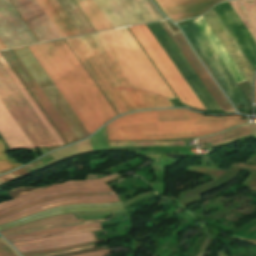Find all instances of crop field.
<instances>
[{"instance_id": "0fb4a251", "label": "crop field", "mask_w": 256, "mask_h": 256, "mask_svg": "<svg viewBox=\"0 0 256 256\" xmlns=\"http://www.w3.org/2000/svg\"><path fill=\"white\" fill-rule=\"evenodd\" d=\"M220 256H221V253H220Z\"/></svg>"}, {"instance_id": "a9b5d70f", "label": "crop field", "mask_w": 256, "mask_h": 256, "mask_svg": "<svg viewBox=\"0 0 256 256\" xmlns=\"http://www.w3.org/2000/svg\"><path fill=\"white\" fill-rule=\"evenodd\" d=\"M75 2L83 11L96 31L112 28L93 0H75Z\"/></svg>"}, {"instance_id": "dd49c442", "label": "crop field", "mask_w": 256, "mask_h": 256, "mask_svg": "<svg viewBox=\"0 0 256 256\" xmlns=\"http://www.w3.org/2000/svg\"><path fill=\"white\" fill-rule=\"evenodd\" d=\"M189 37L199 54L202 56L212 73L215 75L225 92L235 105L242 104L244 109L250 110L251 104L245 97L239 86L231 77L223 63L220 61L212 47L209 45L196 24L191 22L181 26Z\"/></svg>"}, {"instance_id": "dafd665d", "label": "crop field", "mask_w": 256, "mask_h": 256, "mask_svg": "<svg viewBox=\"0 0 256 256\" xmlns=\"http://www.w3.org/2000/svg\"><path fill=\"white\" fill-rule=\"evenodd\" d=\"M229 4L256 42V0H233Z\"/></svg>"}, {"instance_id": "1d83c4d3", "label": "crop field", "mask_w": 256, "mask_h": 256, "mask_svg": "<svg viewBox=\"0 0 256 256\" xmlns=\"http://www.w3.org/2000/svg\"><path fill=\"white\" fill-rule=\"evenodd\" d=\"M117 204H119V202L111 203V204H77V205H66V206H61V207H57V208H54V209H50V210H47V211H44V212H41V213H38V214H35V215H32V216L21 218V219H18L16 221H13V222L0 225V227L6 226V225H9V224H13V223H16V222H19V221H22V220H25V219H29V218H32V217H36V216H39V215H43V214H46V213L67 209V208H74V207H102V206H113V205H117Z\"/></svg>"}, {"instance_id": "ae1a2a85", "label": "crop field", "mask_w": 256, "mask_h": 256, "mask_svg": "<svg viewBox=\"0 0 256 256\" xmlns=\"http://www.w3.org/2000/svg\"><path fill=\"white\" fill-rule=\"evenodd\" d=\"M250 134L251 133H250L249 125L247 124L244 126L231 128L229 130H226L224 132H221L213 136H208V137L198 139L197 142L210 140L211 144L214 145L218 143L235 140L237 138L250 135Z\"/></svg>"}, {"instance_id": "750c4746", "label": "crop field", "mask_w": 256, "mask_h": 256, "mask_svg": "<svg viewBox=\"0 0 256 256\" xmlns=\"http://www.w3.org/2000/svg\"><path fill=\"white\" fill-rule=\"evenodd\" d=\"M122 207H123L122 204H120V205L113 206V207L68 209V210H64V211H59V212H54V213L46 214V215H43V216H39V217L29 219V220H26V221H23V222H20V223H16V224L4 227V228H0V230L6 229V228H9V227H12V226H16V225H19V224H23V223H26V222H30V221H33V220L59 215V214H62V213L77 212V211H102V210L118 209V208H122Z\"/></svg>"}, {"instance_id": "00972430", "label": "crop field", "mask_w": 256, "mask_h": 256, "mask_svg": "<svg viewBox=\"0 0 256 256\" xmlns=\"http://www.w3.org/2000/svg\"><path fill=\"white\" fill-rule=\"evenodd\" d=\"M0 63L2 64V66L4 67V69L6 70V72L9 74V76L11 77V79L14 81V83L16 84V86L19 88V90L21 91V93L24 95V97L26 98V100L28 101V103L31 105V107L33 108V110L36 112V114L38 115V117L41 119V121L43 122V124L46 126V128L48 129V131L50 132V134L53 136V138L55 139V141L58 143V145H65V143L62 141V139L60 138V136L57 134V132L55 131V129L52 127V125L50 124V122L47 120V118L45 117V115L42 113V111L40 110V108L37 106V104L35 103V101L33 100V98L30 96V94L28 93V91L25 89V87L23 86V84L20 82V80L18 79V77L15 75V73L13 72V70L10 68V66L8 65V63L5 61V59L3 58V56L0 54Z\"/></svg>"}, {"instance_id": "0bd39190", "label": "crop field", "mask_w": 256, "mask_h": 256, "mask_svg": "<svg viewBox=\"0 0 256 256\" xmlns=\"http://www.w3.org/2000/svg\"><path fill=\"white\" fill-rule=\"evenodd\" d=\"M96 230H101V227H97V228H89V229H81V230H73V231H65V232H57V233H51V234H45V235H39V236H33V237H28V238H22V239L10 240V242H13V241H21V240L37 239V238L50 237V236H58V235L74 234V233H81V232H88V231H96Z\"/></svg>"}, {"instance_id": "214f88e0", "label": "crop field", "mask_w": 256, "mask_h": 256, "mask_svg": "<svg viewBox=\"0 0 256 256\" xmlns=\"http://www.w3.org/2000/svg\"><path fill=\"white\" fill-rule=\"evenodd\" d=\"M116 176H111V177H105L102 179H97V180H89V181H70L67 183H62V184H58L54 187H50V188H46V189H42L39 190L37 192L34 193H30L24 196H20L17 197L13 200L7 201V202H3L0 203V210L10 207L12 205H15L17 203H20L22 201H25L27 199H30L32 197H35L37 195H41V194H45L51 191H57V190H64V189H70V188H80V189H106L109 188L107 187L103 181L105 180H109L112 179Z\"/></svg>"}, {"instance_id": "ac0d7876", "label": "crop field", "mask_w": 256, "mask_h": 256, "mask_svg": "<svg viewBox=\"0 0 256 256\" xmlns=\"http://www.w3.org/2000/svg\"><path fill=\"white\" fill-rule=\"evenodd\" d=\"M28 48L90 134L116 116L64 40Z\"/></svg>"}, {"instance_id": "c21b1889", "label": "crop field", "mask_w": 256, "mask_h": 256, "mask_svg": "<svg viewBox=\"0 0 256 256\" xmlns=\"http://www.w3.org/2000/svg\"><path fill=\"white\" fill-rule=\"evenodd\" d=\"M37 3L39 4V6L42 8V10L44 11V13L47 15V17L49 18V20L52 22V24L54 25V27L57 29V31L59 32V34L62 36V38H65L66 35L63 33V31L61 30V28L58 26V24L56 23V21L53 19V17L51 16V14L48 12V10L46 9V7L43 5V3L41 2V0H36Z\"/></svg>"}, {"instance_id": "d23c7cc5", "label": "crop field", "mask_w": 256, "mask_h": 256, "mask_svg": "<svg viewBox=\"0 0 256 256\" xmlns=\"http://www.w3.org/2000/svg\"><path fill=\"white\" fill-rule=\"evenodd\" d=\"M108 252H111L110 249L99 251V252H94V253L77 255V256H94V255L104 254V253H108Z\"/></svg>"}, {"instance_id": "bc2a9ffb", "label": "crop field", "mask_w": 256, "mask_h": 256, "mask_svg": "<svg viewBox=\"0 0 256 256\" xmlns=\"http://www.w3.org/2000/svg\"><path fill=\"white\" fill-rule=\"evenodd\" d=\"M91 235H92L93 239L96 240L92 232H91ZM91 235H90V233H88V234L58 236V237H50V238L24 241V242H19V243H15V244L22 252H24V251H31V250H40V249H45V248L61 247V246L75 244V243L91 241V240H93ZM12 244L20 253H22L15 246L14 243H12Z\"/></svg>"}, {"instance_id": "1f2cbd36", "label": "crop field", "mask_w": 256, "mask_h": 256, "mask_svg": "<svg viewBox=\"0 0 256 256\" xmlns=\"http://www.w3.org/2000/svg\"><path fill=\"white\" fill-rule=\"evenodd\" d=\"M255 102H256V92H255Z\"/></svg>"}, {"instance_id": "92a150f3", "label": "crop field", "mask_w": 256, "mask_h": 256, "mask_svg": "<svg viewBox=\"0 0 256 256\" xmlns=\"http://www.w3.org/2000/svg\"><path fill=\"white\" fill-rule=\"evenodd\" d=\"M197 26L200 28L206 39L209 41L217 55L220 57L226 68L229 70L235 81L239 84L245 81V78L240 73L234 62L231 60L225 49L222 47L216 36L213 34L207 23L202 16L194 20Z\"/></svg>"}, {"instance_id": "8a807250", "label": "crop field", "mask_w": 256, "mask_h": 256, "mask_svg": "<svg viewBox=\"0 0 256 256\" xmlns=\"http://www.w3.org/2000/svg\"><path fill=\"white\" fill-rule=\"evenodd\" d=\"M80 39L131 111L173 107L175 96L126 28Z\"/></svg>"}, {"instance_id": "eef30255", "label": "crop field", "mask_w": 256, "mask_h": 256, "mask_svg": "<svg viewBox=\"0 0 256 256\" xmlns=\"http://www.w3.org/2000/svg\"><path fill=\"white\" fill-rule=\"evenodd\" d=\"M81 220H83V219L77 220L73 214L61 215V216L46 218V219H42L39 221L31 222L28 224L9 228L0 233L2 235H4V234L16 232V231L26 230V229L33 228V227L46 226V225L59 224V223H67V222H75V221H81Z\"/></svg>"}, {"instance_id": "28ad6ade", "label": "crop field", "mask_w": 256, "mask_h": 256, "mask_svg": "<svg viewBox=\"0 0 256 256\" xmlns=\"http://www.w3.org/2000/svg\"><path fill=\"white\" fill-rule=\"evenodd\" d=\"M66 42L77 55L79 60L82 62L92 78L95 80L97 85L100 87V89L105 94L110 103L113 105L118 114L129 112L130 109L127 107L123 99L115 90L111 82L108 80L106 75L98 66V64L91 56L89 51L86 49L84 44L81 42L79 37L67 39Z\"/></svg>"}, {"instance_id": "dbb93151", "label": "crop field", "mask_w": 256, "mask_h": 256, "mask_svg": "<svg viewBox=\"0 0 256 256\" xmlns=\"http://www.w3.org/2000/svg\"><path fill=\"white\" fill-rule=\"evenodd\" d=\"M0 184H2V182L0 181Z\"/></svg>"}, {"instance_id": "c035e120", "label": "crop field", "mask_w": 256, "mask_h": 256, "mask_svg": "<svg viewBox=\"0 0 256 256\" xmlns=\"http://www.w3.org/2000/svg\"><path fill=\"white\" fill-rule=\"evenodd\" d=\"M93 244H95V241L94 242H90V243H86V244H81V245L61 248V249L26 252V253H22V255L23 256H27V255H35V254H41V253H47V252L62 251V250H66V249H71V248L81 247V246H88V245H93Z\"/></svg>"}, {"instance_id": "d1516ede", "label": "crop field", "mask_w": 256, "mask_h": 256, "mask_svg": "<svg viewBox=\"0 0 256 256\" xmlns=\"http://www.w3.org/2000/svg\"><path fill=\"white\" fill-rule=\"evenodd\" d=\"M0 37L8 48L37 42L8 0H0Z\"/></svg>"}, {"instance_id": "e52e79f7", "label": "crop field", "mask_w": 256, "mask_h": 256, "mask_svg": "<svg viewBox=\"0 0 256 256\" xmlns=\"http://www.w3.org/2000/svg\"><path fill=\"white\" fill-rule=\"evenodd\" d=\"M28 49L27 47L16 48L14 49V51L17 53L27 69L30 71L32 76L35 78L37 83L40 85L42 90L45 92V94L50 99L60 115L63 117V119L68 124L78 140L88 137L90 135L89 132L83 126L81 121L78 119V117L67 104L65 99L59 93L57 88L51 82L41 66L38 64V62L36 61L37 59L35 60V58L31 54L32 52L30 53Z\"/></svg>"}, {"instance_id": "cbeb9de0", "label": "crop field", "mask_w": 256, "mask_h": 256, "mask_svg": "<svg viewBox=\"0 0 256 256\" xmlns=\"http://www.w3.org/2000/svg\"><path fill=\"white\" fill-rule=\"evenodd\" d=\"M253 67H256V43L228 2L213 7Z\"/></svg>"}, {"instance_id": "5d738f31", "label": "crop field", "mask_w": 256, "mask_h": 256, "mask_svg": "<svg viewBox=\"0 0 256 256\" xmlns=\"http://www.w3.org/2000/svg\"><path fill=\"white\" fill-rule=\"evenodd\" d=\"M0 179L3 183L7 182V181H10V180H13L15 179V177L13 176L12 173L10 174H7V175H3V176H0Z\"/></svg>"}, {"instance_id": "d9b57169", "label": "crop field", "mask_w": 256, "mask_h": 256, "mask_svg": "<svg viewBox=\"0 0 256 256\" xmlns=\"http://www.w3.org/2000/svg\"><path fill=\"white\" fill-rule=\"evenodd\" d=\"M161 25L164 27L166 32L169 34V36L172 38L174 43L177 45L179 50L182 52V54L185 56L187 61L190 63V65L193 67L195 72L198 74L200 79L203 81V83L206 85L208 90L211 92L213 97L216 99V101L221 106L222 110L225 112H235L232 107L229 105L227 99L224 97V95L221 93L219 88L216 86V84L213 82V80L210 78V76L207 74L205 69L202 67L198 59L195 57L191 49L186 44L182 34L180 31L176 33H172L171 30L168 28V26L165 24L164 21L160 22Z\"/></svg>"}, {"instance_id": "b54c1fbb", "label": "crop field", "mask_w": 256, "mask_h": 256, "mask_svg": "<svg viewBox=\"0 0 256 256\" xmlns=\"http://www.w3.org/2000/svg\"><path fill=\"white\" fill-rule=\"evenodd\" d=\"M89 248H95V245L88 246V247H82V248H75V249H71V250H67V251H63V252L47 253V254H41V255H35V256H53V255H58V254H63V253H68V252L79 251V250H83V249H89Z\"/></svg>"}, {"instance_id": "d8731c3e", "label": "crop field", "mask_w": 256, "mask_h": 256, "mask_svg": "<svg viewBox=\"0 0 256 256\" xmlns=\"http://www.w3.org/2000/svg\"><path fill=\"white\" fill-rule=\"evenodd\" d=\"M113 28L161 19L149 0H94Z\"/></svg>"}, {"instance_id": "730fd06b", "label": "crop field", "mask_w": 256, "mask_h": 256, "mask_svg": "<svg viewBox=\"0 0 256 256\" xmlns=\"http://www.w3.org/2000/svg\"><path fill=\"white\" fill-rule=\"evenodd\" d=\"M58 2L68 14V16L71 18L81 34L94 32V30L91 28L89 23L86 21V19L72 0H58Z\"/></svg>"}, {"instance_id": "f4fd0767", "label": "crop field", "mask_w": 256, "mask_h": 256, "mask_svg": "<svg viewBox=\"0 0 256 256\" xmlns=\"http://www.w3.org/2000/svg\"><path fill=\"white\" fill-rule=\"evenodd\" d=\"M129 30L140 43L181 102L191 107L205 110L180 73L151 35L145 24L130 27Z\"/></svg>"}, {"instance_id": "425ffa30", "label": "crop field", "mask_w": 256, "mask_h": 256, "mask_svg": "<svg viewBox=\"0 0 256 256\" xmlns=\"http://www.w3.org/2000/svg\"><path fill=\"white\" fill-rule=\"evenodd\" d=\"M13 174L15 175L16 178L23 176L25 174H27L24 170L20 169L18 171L13 172Z\"/></svg>"}, {"instance_id": "03da06ac", "label": "crop field", "mask_w": 256, "mask_h": 256, "mask_svg": "<svg viewBox=\"0 0 256 256\" xmlns=\"http://www.w3.org/2000/svg\"><path fill=\"white\" fill-rule=\"evenodd\" d=\"M0 253L4 256H17L5 243L0 240Z\"/></svg>"}, {"instance_id": "73cf0c24", "label": "crop field", "mask_w": 256, "mask_h": 256, "mask_svg": "<svg viewBox=\"0 0 256 256\" xmlns=\"http://www.w3.org/2000/svg\"><path fill=\"white\" fill-rule=\"evenodd\" d=\"M233 237H235V236H233ZM237 238H240V237H237ZM240 239H243V238H240ZM243 240H246V239H243ZM246 241H249V242H252V243L256 244V242H254V241H250V240H246Z\"/></svg>"}, {"instance_id": "bd1437ed", "label": "crop field", "mask_w": 256, "mask_h": 256, "mask_svg": "<svg viewBox=\"0 0 256 256\" xmlns=\"http://www.w3.org/2000/svg\"><path fill=\"white\" fill-rule=\"evenodd\" d=\"M111 194H116V193L115 192H109V193H70V194H62V195L51 196L49 198L39 200V201H36L34 203L28 204L26 206L20 207L18 209L9 211V212L1 215L0 218L5 217V216H7V215H9L13 212H16V211L28 208L30 206L36 205L38 203L45 202V201L52 200V199L67 198V197H73V196H98V195H111Z\"/></svg>"}, {"instance_id": "028f5c9d", "label": "crop field", "mask_w": 256, "mask_h": 256, "mask_svg": "<svg viewBox=\"0 0 256 256\" xmlns=\"http://www.w3.org/2000/svg\"><path fill=\"white\" fill-rule=\"evenodd\" d=\"M110 146H153V145H181L185 146L184 140L173 142H118L109 143Z\"/></svg>"}, {"instance_id": "5142ce71", "label": "crop field", "mask_w": 256, "mask_h": 256, "mask_svg": "<svg viewBox=\"0 0 256 256\" xmlns=\"http://www.w3.org/2000/svg\"><path fill=\"white\" fill-rule=\"evenodd\" d=\"M202 16L251 85L255 71L242 54L238 46L235 44L231 36L228 34L224 26L221 24L217 16L214 14L212 9Z\"/></svg>"}, {"instance_id": "e1f06a70", "label": "crop field", "mask_w": 256, "mask_h": 256, "mask_svg": "<svg viewBox=\"0 0 256 256\" xmlns=\"http://www.w3.org/2000/svg\"><path fill=\"white\" fill-rule=\"evenodd\" d=\"M20 165L21 164L13 163L7 159L4 151L3 141L0 140V174L8 172Z\"/></svg>"}, {"instance_id": "3316defc", "label": "crop field", "mask_w": 256, "mask_h": 256, "mask_svg": "<svg viewBox=\"0 0 256 256\" xmlns=\"http://www.w3.org/2000/svg\"><path fill=\"white\" fill-rule=\"evenodd\" d=\"M2 54L5 56V58L10 63V65L13 67L15 72L18 74V76L23 81L25 86L28 88V90L31 92L33 97L38 102V104L44 110L46 115L49 117V119L54 124V126L59 131V133L62 135L64 140L67 142V144L73 141H77V138L74 136V134L69 129L67 124L61 118L59 113L56 111L54 106L51 104L49 99L46 97V95L41 90V88L36 83V81L31 76V74L28 72L26 67L23 65L21 60L13 51V49L2 51Z\"/></svg>"}, {"instance_id": "412701ff", "label": "crop field", "mask_w": 256, "mask_h": 256, "mask_svg": "<svg viewBox=\"0 0 256 256\" xmlns=\"http://www.w3.org/2000/svg\"><path fill=\"white\" fill-rule=\"evenodd\" d=\"M0 99L35 148L57 145L1 64Z\"/></svg>"}, {"instance_id": "4177f3b9", "label": "crop field", "mask_w": 256, "mask_h": 256, "mask_svg": "<svg viewBox=\"0 0 256 256\" xmlns=\"http://www.w3.org/2000/svg\"><path fill=\"white\" fill-rule=\"evenodd\" d=\"M67 37L79 35V31L59 5L57 0H42Z\"/></svg>"}, {"instance_id": "d3111659", "label": "crop field", "mask_w": 256, "mask_h": 256, "mask_svg": "<svg viewBox=\"0 0 256 256\" xmlns=\"http://www.w3.org/2000/svg\"><path fill=\"white\" fill-rule=\"evenodd\" d=\"M116 201H119V199H118V198H115V199H110V200H72V201H66V202H59V203H54V204H52V205H50V206L42 207V208H39V209L30 211V212L21 214V215H19V216L10 218V219H8V220H6V221H4V222H1L0 224L6 223V222H10V221H13V220L18 219V218H21V217H25V216H28V215H32V214H35V213H38V212H41V211H44V210H47V209H50V208H53V207L65 205V204H77V203H111V202H116Z\"/></svg>"}, {"instance_id": "25e5ab78", "label": "crop field", "mask_w": 256, "mask_h": 256, "mask_svg": "<svg viewBox=\"0 0 256 256\" xmlns=\"http://www.w3.org/2000/svg\"><path fill=\"white\" fill-rule=\"evenodd\" d=\"M6 48H7L6 45L3 43V41L0 38V50L1 49H6Z\"/></svg>"}, {"instance_id": "1d79db26", "label": "crop field", "mask_w": 256, "mask_h": 256, "mask_svg": "<svg viewBox=\"0 0 256 256\" xmlns=\"http://www.w3.org/2000/svg\"><path fill=\"white\" fill-rule=\"evenodd\" d=\"M0 256H2V255L0 254Z\"/></svg>"}, {"instance_id": "b80d0937", "label": "crop field", "mask_w": 256, "mask_h": 256, "mask_svg": "<svg viewBox=\"0 0 256 256\" xmlns=\"http://www.w3.org/2000/svg\"><path fill=\"white\" fill-rule=\"evenodd\" d=\"M97 226H100V224L60 228V229H54V230H48V231H42V232L29 233V234H24V235H20V236L9 237V238H7V240L13 239V238H17V237H23V236H31V235H37V234H43V233L65 231V230H73V229H81V228H89V227H97Z\"/></svg>"}, {"instance_id": "89e229c0", "label": "crop field", "mask_w": 256, "mask_h": 256, "mask_svg": "<svg viewBox=\"0 0 256 256\" xmlns=\"http://www.w3.org/2000/svg\"><path fill=\"white\" fill-rule=\"evenodd\" d=\"M108 255H110V254H104V255H99V256H108Z\"/></svg>"}, {"instance_id": "5866460e", "label": "crop field", "mask_w": 256, "mask_h": 256, "mask_svg": "<svg viewBox=\"0 0 256 256\" xmlns=\"http://www.w3.org/2000/svg\"><path fill=\"white\" fill-rule=\"evenodd\" d=\"M115 197H117V196L116 195H111V196H99V197H74V198H68V199L52 200V201H48V202H45V203L38 204L36 206H33L31 208H28V209H25V210H22V211H19V212H16V213H14V214H12V215H10L8 217L0 219V222L4 221V220H6V219H8L10 217L16 216L18 214H21V213H24V212H27V211H30V210H33V209H36V208H39V207H42V206L54 203V202L71 200V199H110V198H115Z\"/></svg>"}, {"instance_id": "22f410ed", "label": "crop field", "mask_w": 256, "mask_h": 256, "mask_svg": "<svg viewBox=\"0 0 256 256\" xmlns=\"http://www.w3.org/2000/svg\"><path fill=\"white\" fill-rule=\"evenodd\" d=\"M10 1L39 42L61 38L35 0Z\"/></svg>"}, {"instance_id": "5a996713", "label": "crop field", "mask_w": 256, "mask_h": 256, "mask_svg": "<svg viewBox=\"0 0 256 256\" xmlns=\"http://www.w3.org/2000/svg\"><path fill=\"white\" fill-rule=\"evenodd\" d=\"M146 26L149 28L151 33L154 35L178 71L181 73L193 92L204 105L206 110L220 109L200 79L197 77L195 72L192 70L190 65L187 63L167 33L164 31L162 26L159 24V22L148 23Z\"/></svg>"}, {"instance_id": "4a817a6b", "label": "crop field", "mask_w": 256, "mask_h": 256, "mask_svg": "<svg viewBox=\"0 0 256 256\" xmlns=\"http://www.w3.org/2000/svg\"><path fill=\"white\" fill-rule=\"evenodd\" d=\"M0 134L11 150L34 148L0 100Z\"/></svg>"}, {"instance_id": "d32e631a", "label": "crop field", "mask_w": 256, "mask_h": 256, "mask_svg": "<svg viewBox=\"0 0 256 256\" xmlns=\"http://www.w3.org/2000/svg\"><path fill=\"white\" fill-rule=\"evenodd\" d=\"M109 191H113L112 189H106V190H79V189H70V190H64V191H57V192H51V193H48V194H45V195H42V196H39V197H36V198H33L31 200H28L26 202H23L21 204H18L14 207H11L9 209H6L2 212H0V215L9 211V210H12V209H15L17 207H20V206H23V205H26L28 203H31V202H34L36 200H39V199H43V198H46L48 196H51V195H55V194H61V193H69V192H109Z\"/></svg>"}, {"instance_id": "34b2d1b8", "label": "crop field", "mask_w": 256, "mask_h": 256, "mask_svg": "<svg viewBox=\"0 0 256 256\" xmlns=\"http://www.w3.org/2000/svg\"><path fill=\"white\" fill-rule=\"evenodd\" d=\"M248 122L241 116L205 117L183 109L124 115L106 125L109 141L159 140L213 134Z\"/></svg>"}, {"instance_id": "120bbe31", "label": "crop field", "mask_w": 256, "mask_h": 256, "mask_svg": "<svg viewBox=\"0 0 256 256\" xmlns=\"http://www.w3.org/2000/svg\"><path fill=\"white\" fill-rule=\"evenodd\" d=\"M99 222L103 223V222H106V220L102 219V220L82 221V222L67 223V224L53 225V226H47V227H39V228H33V229L22 231V232H16V233L4 235V237L7 238L9 236L19 235V234H23V233L36 232V231H42V230H48V229H53V228L66 227V226L94 224V223H99Z\"/></svg>"}, {"instance_id": "733c2abd", "label": "crop field", "mask_w": 256, "mask_h": 256, "mask_svg": "<svg viewBox=\"0 0 256 256\" xmlns=\"http://www.w3.org/2000/svg\"><path fill=\"white\" fill-rule=\"evenodd\" d=\"M167 16L180 21L201 15L220 0H156Z\"/></svg>"}]
</instances>
